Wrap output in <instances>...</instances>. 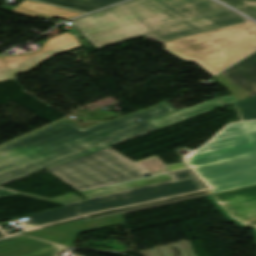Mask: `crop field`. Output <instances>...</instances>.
Segmentation results:
<instances>
[{"instance_id": "obj_1", "label": "crop field", "mask_w": 256, "mask_h": 256, "mask_svg": "<svg viewBox=\"0 0 256 256\" xmlns=\"http://www.w3.org/2000/svg\"><path fill=\"white\" fill-rule=\"evenodd\" d=\"M174 111L164 102L85 130L71 121L51 124L0 147V185L156 130L147 121ZM15 195L0 190V197Z\"/></svg>"}, {"instance_id": "obj_2", "label": "crop field", "mask_w": 256, "mask_h": 256, "mask_svg": "<svg viewBox=\"0 0 256 256\" xmlns=\"http://www.w3.org/2000/svg\"><path fill=\"white\" fill-rule=\"evenodd\" d=\"M243 21L212 0H131L72 22L101 49L139 35L167 41Z\"/></svg>"}, {"instance_id": "obj_3", "label": "crop field", "mask_w": 256, "mask_h": 256, "mask_svg": "<svg viewBox=\"0 0 256 256\" xmlns=\"http://www.w3.org/2000/svg\"><path fill=\"white\" fill-rule=\"evenodd\" d=\"M185 162L213 194L256 185V121L229 125Z\"/></svg>"}, {"instance_id": "obj_4", "label": "crop field", "mask_w": 256, "mask_h": 256, "mask_svg": "<svg viewBox=\"0 0 256 256\" xmlns=\"http://www.w3.org/2000/svg\"><path fill=\"white\" fill-rule=\"evenodd\" d=\"M161 44L172 55L195 62L213 76L254 51L256 24L248 21Z\"/></svg>"}, {"instance_id": "obj_5", "label": "crop field", "mask_w": 256, "mask_h": 256, "mask_svg": "<svg viewBox=\"0 0 256 256\" xmlns=\"http://www.w3.org/2000/svg\"><path fill=\"white\" fill-rule=\"evenodd\" d=\"M174 181L113 193L89 200L66 204L67 206L27 216L22 222L27 228L75 216L129 206L178 194L207 188L191 169L168 174Z\"/></svg>"}, {"instance_id": "obj_6", "label": "crop field", "mask_w": 256, "mask_h": 256, "mask_svg": "<svg viewBox=\"0 0 256 256\" xmlns=\"http://www.w3.org/2000/svg\"><path fill=\"white\" fill-rule=\"evenodd\" d=\"M79 192L143 178L150 173L107 148L47 169Z\"/></svg>"}, {"instance_id": "obj_7", "label": "crop field", "mask_w": 256, "mask_h": 256, "mask_svg": "<svg viewBox=\"0 0 256 256\" xmlns=\"http://www.w3.org/2000/svg\"><path fill=\"white\" fill-rule=\"evenodd\" d=\"M77 47H80V44L68 33H64L46 40L44 45L35 52L11 56L0 55V82L12 80L16 74L25 72L56 54Z\"/></svg>"}, {"instance_id": "obj_8", "label": "crop field", "mask_w": 256, "mask_h": 256, "mask_svg": "<svg viewBox=\"0 0 256 256\" xmlns=\"http://www.w3.org/2000/svg\"><path fill=\"white\" fill-rule=\"evenodd\" d=\"M217 79L239 100L256 95V52L221 72Z\"/></svg>"}, {"instance_id": "obj_9", "label": "crop field", "mask_w": 256, "mask_h": 256, "mask_svg": "<svg viewBox=\"0 0 256 256\" xmlns=\"http://www.w3.org/2000/svg\"><path fill=\"white\" fill-rule=\"evenodd\" d=\"M123 222L124 220L121 215L89 222L81 220L69 224H64L52 228L27 233V235L47 239L50 241L70 246L80 232L110 226L114 224H119Z\"/></svg>"}, {"instance_id": "obj_10", "label": "crop field", "mask_w": 256, "mask_h": 256, "mask_svg": "<svg viewBox=\"0 0 256 256\" xmlns=\"http://www.w3.org/2000/svg\"><path fill=\"white\" fill-rule=\"evenodd\" d=\"M67 247L26 235L0 241V256H58Z\"/></svg>"}, {"instance_id": "obj_11", "label": "crop field", "mask_w": 256, "mask_h": 256, "mask_svg": "<svg viewBox=\"0 0 256 256\" xmlns=\"http://www.w3.org/2000/svg\"><path fill=\"white\" fill-rule=\"evenodd\" d=\"M208 194H212V192L210 190H205V191H201V192H196V193H191V194H186V195H181V196H176V197H171V198H166V199H161V200H157V201H153V202H149V203H144V204H140V205H136V206H132V207L118 208V209H113V210H109V211L90 214V215L82 216V217H79V218H76V219H72V220H68V221H64V222H60V223H56V224H52V225H48V226H44V227H39V228H35V229L23 231V232L26 233V232H30V231H35V230H39V229H43V228H47V227H52V226H56V225H60V224H64V223H69V222H73V221H77V220H81V219L89 221V220H94V219H99V218L124 214V213H128V212H133V211H137V210H141V209L155 207V206H159V205H163V204H168V203L177 202V201H181V200H186V199L199 197V196H203V195H208Z\"/></svg>"}, {"instance_id": "obj_12", "label": "crop field", "mask_w": 256, "mask_h": 256, "mask_svg": "<svg viewBox=\"0 0 256 256\" xmlns=\"http://www.w3.org/2000/svg\"><path fill=\"white\" fill-rule=\"evenodd\" d=\"M222 211L256 204V186L207 196Z\"/></svg>"}, {"instance_id": "obj_13", "label": "crop field", "mask_w": 256, "mask_h": 256, "mask_svg": "<svg viewBox=\"0 0 256 256\" xmlns=\"http://www.w3.org/2000/svg\"><path fill=\"white\" fill-rule=\"evenodd\" d=\"M11 12L31 17L40 16L44 18H50L57 16L65 19L83 14L31 0H23V2L19 6L15 7Z\"/></svg>"}, {"instance_id": "obj_14", "label": "crop field", "mask_w": 256, "mask_h": 256, "mask_svg": "<svg viewBox=\"0 0 256 256\" xmlns=\"http://www.w3.org/2000/svg\"><path fill=\"white\" fill-rule=\"evenodd\" d=\"M217 99V98H216ZM212 100L210 102L197 105L188 109H183L174 113H171L169 115L157 118L155 120L149 121L150 123L154 124L155 126L161 128L197 115H200L202 113L208 112L210 110L219 108L221 106H224V104L218 100Z\"/></svg>"}, {"instance_id": "obj_15", "label": "crop field", "mask_w": 256, "mask_h": 256, "mask_svg": "<svg viewBox=\"0 0 256 256\" xmlns=\"http://www.w3.org/2000/svg\"><path fill=\"white\" fill-rule=\"evenodd\" d=\"M222 214L242 228L253 229L256 238V205L223 212Z\"/></svg>"}, {"instance_id": "obj_16", "label": "crop field", "mask_w": 256, "mask_h": 256, "mask_svg": "<svg viewBox=\"0 0 256 256\" xmlns=\"http://www.w3.org/2000/svg\"><path fill=\"white\" fill-rule=\"evenodd\" d=\"M171 180L172 179L167 174H164V175L134 180V181H130V182L120 183V184H116V185H111V186H107V188H109L110 190H112L114 192H118V191H123V190L132 189V188L157 184V183L171 181Z\"/></svg>"}, {"instance_id": "obj_17", "label": "crop field", "mask_w": 256, "mask_h": 256, "mask_svg": "<svg viewBox=\"0 0 256 256\" xmlns=\"http://www.w3.org/2000/svg\"><path fill=\"white\" fill-rule=\"evenodd\" d=\"M136 163L153 174L188 167L184 162L165 166L156 156Z\"/></svg>"}, {"instance_id": "obj_18", "label": "crop field", "mask_w": 256, "mask_h": 256, "mask_svg": "<svg viewBox=\"0 0 256 256\" xmlns=\"http://www.w3.org/2000/svg\"><path fill=\"white\" fill-rule=\"evenodd\" d=\"M234 106L242 121L256 119V96L238 101Z\"/></svg>"}, {"instance_id": "obj_19", "label": "crop field", "mask_w": 256, "mask_h": 256, "mask_svg": "<svg viewBox=\"0 0 256 256\" xmlns=\"http://www.w3.org/2000/svg\"><path fill=\"white\" fill-rule=\"evenodd\" d=\"M40 1L64 6L67 8H71V9H75V10H79V11H83V12H89V11H93V10H96L99 8H103L102 6L93 5V4H89V3H85V2H80V1H76V0H40Z\"/></svg>"}, {"instance_id": "obj_20", "label": "crop field", "mask_w": 256, "mask_h": 256, "mask_svg": "<svg viewBox=\"0 0 256 256\" xmlns=\"http://www.w3.org/2000/svg\"><path fill=\"white\" fill-rule=\"evenodd\" d=\"M256 19V0H221Z\"/></svg>"}, {"instance_id": "obj_21", "label": "crop field", "mask_w": 256, "mask_h": 256, "mask_svg": "<svg viewBox=\"0 0 256 256\" xmlns=\"http://www.w3.org/2000/svg\"><path fill=\"white\" fill-rule=\"evenodd\" d=\"M108 193H112V191H110L109 189H107L105 187H102V188L82 192L81 194L84 195L88 199V198H92V197H96V196H100V195H104V194H108Z\"/></svg>"}, {"instance_id": "obj_22", "label": "crop field", "mask_w": 256, "mask_h": 256, "mask_svg": "<svg viewBox=\"0 0 256 256\" xmlns=\"http://www.w3.org/2000/svg\"><path fill=\"white\" fill-rule=\"evenodd\" d=\"M80 1H85V2H89V3L106 6V5H109V4L118 2V1H122V0H80Z\"/></svg>"}, {"instance_id": "obj_23", "label": "crop field", "mask_w": 256, "mask_h": 256, "mask_svg": "<svg viewBox=\"0 0 256 256\" xmlns=\"http://www.w3.org/2000/svg\"><path fill=\"white\" fill-rule=\"evenodd\" d=\"M220 100H222L225 104L229 105L233 102L238 101L235 97H233L232 95L229 97L223 96V97H219Z\"/></svg>"}, {"instance_id": "obj_24", "label": "crop field", "mask_w": 256, "mask_h": 256, "mask_svg": "<svg viewBox=\"0 0 256 256\" xmlns=\"http://www.w3.org/2000/svg\"><path fill=\"white\" fill-rule=\"evenodd\" d=\"M16 234V233H15ZM15 234H11V235H15ZM5 236H9L0 226V238L5 237ZM6 238V237H5Z\"/></svg>"}, {"instance_id": "obj_25", "label": "crop field", "mask_w": 256, "mask_h": 256, "mask_svg": "<svg viewBox=\"0 0 256 256\" xmlns=\"http://www.w3.org/2000/svg\"><path fill=\"white\" fill-rule=\"evenodd\" d=\"M152 39L157 40V41H162L159 37L152 38Z\"/></svg>"}]
</instances>
